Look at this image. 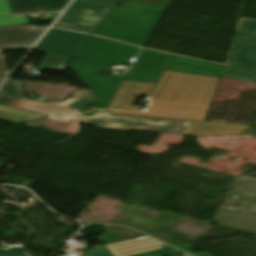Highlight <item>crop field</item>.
I'll use <instances>...</instances> for the list:
<instances>
[{"label": "crop field", "instance_id": "obj_1", "mask_svg": "<svg viewBox=\"0 0 256 256\" xmlns=\"http://www.w3.org/2000/svg\"><path fill=\"white\" fill-rule=\"evenodd\" d=\"M220 79L164 71L158 84L123 81L109 108L139 110L132 104L147 94L144 112L113 114L204 121ZM132 95H137L132 97Z\"/></svg>", "mask_w": 256, "mask_h": 256}, {"label": "crop field", "instance_id": "obj_2", "mask_svg": "<svg viewBox=\"0 0 256 256\" xmlns=\"http://www.w3.org/2000/svg\"><path fill=\"white\" fill-rule=\"evenodd\" d=\"M152 1L130 0L112 9L93 34L144 47L171 0Z\"/></svg>", "mask_w": 256, "mask_h": 256}, {"label": "crop field", "instance_id": "obj_3", "mask_svg": "<svg viewBox=\"0 0 256 256\" xmlns=\"http://www.w3.org/2000/svg\"><path fill=\"white\" fill-rule=\"evenodd\" d=\"M72 95V99L62 104L33 101L23 97L21 82L7 81L0 89V104L76 122V117L80 114L78 110L98 100L85 89Z\"/></svg>", "mask_w": 256, "mask_h": 256}, {"label": "crop field", "instance_id": "obj_4", "mask_svg": "<svg viewBox=\"0 0 256 256\" xmlns=\"http://www.w3.org/2000/svg\"><path fill=\"white\" fill-rule=\"evenodd\" d=\"M88 38V35L51 29L36 47L37 51L46 53L36 70H65Z\"/></svg>", "mask_w": 256, "mask_h": 256}, {"label": "crop field", "instance_id": "obj_5", "mask_svg": "<svg viewBox=\"0 0 256 256\" xmlns=\"http://www.w3.org/2000/svg\"><path fill=\"white\" fill-rule=\"evenodd\" d=\"M139 51L137 47L90 36L76 58L105 65L126 64Z\"/></svg>", "mask_w": 256, "mask_h": 256}, {"label": "crop field", "instance_id": "obj_6", "mask_svg": "<svg viewBox=\"0 0 256 256\" xmlns=\"http://www.w3.org/2000/svg\"><path fill=\"white\" fill-rule=\"evenodd\" d=\"M150 120L162 123V125L151 124ZM79 121L105 128H120L129 130L138 129L176 133L182 132L185 123L184 121L174 120L118 117L111 115L108 111H102L94 118L81 115Z\"/></svg>", "mask_w": 256, "mask_h": 256}, {"label": "crop field", "instance_id": "obj_7", "mask_svg": "<svg viewBox=\"0 0 256 256\" xmlns=\"http://www.w3.org/2000/svg\"><path fill=\"white\" fill-rule=\"evenodd\" d=\"M107 107L124 78L102 75L105 65L74 59L70 66ZM75 72V73H76Z\"/></svg>", "mask_w": 256, "mask_h": 256}, {"label": "crop field", "instance_id": "obj_8", "mask_svg": "<svg viewBox=\"0 0 256 256\" xmlns=\"http://www.w3.org/2000/svg\"><path fill=\"white\" fill-rule=\"evenodd\" d=\"M172 55L143 49L125 80L158 83Z\"/></svg>", "mask_w": 256, "mask_h": 256}, {"label": "crop field", "instance_id": "obj_9", "mask_svg": "<svg viewBox=\"0 0 256 256\" xmlns=\"http://www.w3.org/2000/svg\"><path fill=\"white\" fill-rule=\"evenodd\" d=\"M256 22L244 21L229 64L256 70Z\"/></svg>", "mask_w": 256, "mask_h": 256}, {"label": "crop field", "instance_id": "obj_10", "mask_svg": "<svg viewBox=\"0 0 256 256\" xmlns=\"http://www.w3.org/2000/svg\"><path fill=\"white\" fill-rule=\"evenodd\" d=\"M46 28L31 25L0 27V50L30 48Z\"/></svg>", "mask_w": 256, "mask_h": 256}, {"label": "crop field", "instance_id": "obj_11", "mask_svg": "<svg viewBox=\"0 0 256 256\" xmlns=\"http://www.w3.org/2000/svg\"><path fill=\"white\" fill-rule=\"evenodd\" d=\"M86 6L111 9L116 5L91 0H76L54 27L91 33L94 29L93 27L78 25Z\"/></svg>", "mask_w": 256, "mask_h": 256}, {"label": "crop field", "instance_id": "obj_12", "mask_svg": "<svg viewBox=\"0 0 256 256\" xmlns=\"http://www.w3.org/2000/svg\"><path fill=\"white\" fill-rule=\"evenodd\" d=\"M250 126L186 121L182 134L193 136L241 135ZM244 129V131H240Z\"/></svg>", "mask_w": 256, "mask_h": 256}, {"label": "crop field", "instance_id": "obj_13", "mask_svg": "<svg viewBox=\"0 0 256 256\" xmlns=\"http://www.w3.org/2000/svg\"><path fill=\"white\" fill-rule=\"evenodd\" d=\"M223 68L222 66L175 56L167 70L220 78Z\"/></svg>", "mask_w": 256, "mask_h": 256}, {"label": "crop field", "instance_id": "obj_14", "mask_svg": "<svg viewBox=\"0 0 256 256\" xmlns=\"http://www.w3.org/2000/svg\"><path fill=\"white\" fill-rule=\"evenodd\" d=\"M108 247L115 256H132L169 246L150 237H146L142 239L109 245Z\"/></svg>", "mask_w": 256, "mask_h": 256}, {"label": "crop field", "instance_id": "obj_15", "mask_svg": "<svg viewBox=\"0 0 256 256\" xmlns=\"http://www.w3.org/2000/svg\"><path fill=\"white\" fill-rule=\"evenodd\" d=\"M70 0H9L12 13H31L33 9L40 12L62 11Z\"/></svg>", "mask_w": 256, "mask_h": 256}, {"label": "crop field", "instance_id": "obj_16", "mask_svg": "<svg viewBox=\"0 0 256 256\" xmlns=\"http://www.w3.org/2000/svg\"><path fill=\"white\" fill-rule=\"evenodd\" d=\"M46 117L48 116H43L0 105V119L2 120L19 123L31 119L40 120Z\"/></svg>", "mask_w": 256, "mask_h": 256}, {"label": "crop field", "instance_id": "obj_17", "mask_svg": "<svg viewBox=\"0 0 256 256\" xmlns=\"http://www.w3.org/2000/svg\"><path fill=\"white\" fill-rule=\"evenodd\" d=\"M108 10L87 7L79 24L96 27Z\"/></svg>", "mask_w": 256, "mask_h": 256}, {"label": "crop field", "instance_id": "obj_18", "mask_svg": "<svg viewBox=\"0 0 256 256\" xmlns=\"http://www.w3.org/2000/svg\"><path fill=\"white\" fill-rule=\"evenodd\" d=\"M221 75L249 82H256V72L231 67L228 65L225 66Z\"/></svg>", "mask_w": 256, "mask_h": 256}, {"label": "crop field", "instance_id": "obj_19", "mask_svg": "<svg viewBox=\"0 0 256 256\" xmlns=\"http://www.w3.org/2000/svg\"><path fill=\"white\" fill-rule=\"evenodd\" d=\"M28 24L26 16H0V26Z\"/></svg>", "mask_w": 256, "mask_h": 256}, {"label": "crop field", "instance_id": "obj_20", "mask_svg": "<svg viewBox=\"0 0 256 256\" xmlns=\"http://www.w3.org/2000/svg\"><path fill=\"white\" fill-rule=\"evenodd\" d=\"M0 256H35V255L27 250H15V251L0 252Z\"/></svg>", "mask_w": 256, "mask_h": 256}, {"label": "crop field", "instance_id": "obj_21", "mask_svg": "<svg viewBox=\"0 0 256 256\" xmlns=\"http://www.w3.org/2000/svg\"><path fill=\"white\" fill-rule=\"evenodd\" d=\"M194 246L186 244V245H182V246H178V248L186 251L187 253L194 255V256H212L206 252H199V253H193L190 251L191 248H193Z\"/></svg>", "mask_w": 256, "mask_h": 256}, {"label": "crop field", "instance_id": "obj_22", "mask_svg": "<svg viewBox=\"0 0 256 256\" xmlns=\"http://www.w3.org/2000/svg\"><path fill=\"white\" fill-rule=\"evenodd\" d=\"M8 72L9 71L7 70V66L4 65L2 51H0V83L4 79V77L7 75Z\"/></svg>", "mask_w": 256, "mask_h": 256}, {"label": "crop field", "instance_id": "obj_23", "mask_svg": "<svg viewBox=\"0 0 256 256\" xmlns=\"http://www.w3.org/2000/svg\"><path fill=\"white\" fill-rule=\"evenodd\" d=\"M172 251H176V249L169 247V248H165V249H161V250H157V251H153V252H149V253H145V254H140V255H136V256H155L157 254H163V253H168V252H172Z\"/></svg>", "mask_w": 256, "mask_h": 256}, {"label": "crop field", "instance_id": "obj_24", "mask_svg": "<svg viewBox=\"0 0 256 256\" xmlns=\"http://www.w3.org/2000/svg\"><path fill=\"white\" fill-rule=\"evenodd\" d=\"M0 13H11L8 0H0Z\"/></svg>", "mask_w": 256, "mask_h": 256}, {"label": "crop field", "instance_id": "obj_25", "mask_svg": "<svg viewBox=\"0 0 256 256\" xmlns=\"http://www.w3.org/2000/svg\"><path fill=\"white\" fill-rule=\"evenodd\" d=\"M97 1L119 4V3L123 2L124 0H97Z\"/></svg>", "mask_w": 256, "mask_h": 256}, {"label": "crop field", "instance_id": "obj_26", "mask_svg": "<svg viewBox=\"0 0 256 256\" xmlns=\"http://www.w3.org/2000/svg\"><path fill=\"white\" fill-rule=\"evenodd\" d=\"M179 251H177V252H172V253H168V254H163V255H160V256H166V255H169V256H180L179 255Z\"/></svg>", "mask_w": 256, "mask_h": 256}, {"label": "crop field", "instance_id": "obj_27", "mask_svg": "<svg viewBox=\"0 0 256 256\" xmlns=\"http://www.w3.org/2000/svg\"><path fill=\"white\" fill-rule=\"evenodd\" d=\"M58 13L49 14L48 20L54 19Z\"/></svg>", "mask_w": 256, "mask_h": 256}]
</instances>
